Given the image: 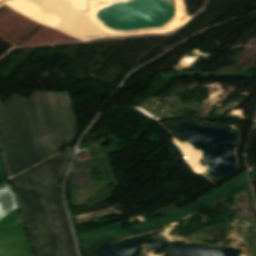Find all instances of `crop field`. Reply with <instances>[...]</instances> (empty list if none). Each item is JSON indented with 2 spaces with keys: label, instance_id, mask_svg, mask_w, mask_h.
Masks as SVG:
<instances>
[{
  "label": "crop field",
  "instance_id": "1",
  "mask_svg": "<svg viewBox=\"0 0 256 256\" xmlns=\"http://www.w3.org/2000/svg\"><path fill=\"white\" fill-rule=\"evenodd\" d=\"M248 184H249L248 175H247V173H245L242 176L232 180L230 183L205 195L202 200H199L198 202H196L180 211L168 214L161 218H157V219H153V220L144 222L139 225L131 226V227L124 228L121 230H117V231L109 232L106 234L98 235L95 237H91L88 239L80 240V241H78L79 247L102 242V241L120 237V236H124V235L138 232V231L150 228V227L158 226L160 224L172 222V221L180 219L190 213L200 210V209L206 207L207 205L221 199L222 197H224V196H226V195H228V194H230Z\"/></svg>",
  "mask_w": 256,
  "mask_h": 256
},
{
  "label": "crop field",
  "instance_id": "2",
  "mask_svg": "<svg viewBox=\"0 0 256 256\" xmlns=\"http://www.w3.org/2000/svg\"><path fill=\"white\" fill-rule=\"evenodd\" d=\"M253 170V174H254V178H255V182H256V167L252 168Z\"/></svg>",
  "mask_w": 256,
  "mask_h": 256
}]
</instances>
